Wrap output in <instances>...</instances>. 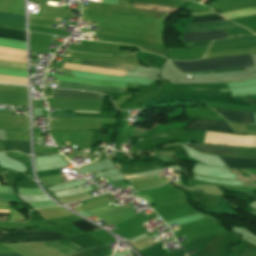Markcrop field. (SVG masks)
Segmentation results:
<instances>
[{"instance_id":"1","label":"crop field","mask_w":256,"mask_h":256,"mask_svg":"<svg viewBox=\"0 0 256 256\" xmlns=\"http://www.w3.org/2000/svg\"><path fill=\"white\" fill-rule=\"evenodd\" d=\"M173 62V61H172ZM183 72L252 66L251 56L208 59L194 62H173Z\"/></svg>"},{"instance_id":"2","label":"crop field","mask_w":256,"mask_h":256,"mask_svg":"<svg viewBox=\"0 0 256 256\" xmlns=\"http://www.w3.org/2000/svg\"><path fill=\"white\" fill-rule=\"evenodd\" d=\"M61 238L68 237L46 231L0 232V242L46 241Z\"/></svg>"},{"instance_id":"3","label":"crop field","mask_w":256,"mask_h":256,"mask_svg":"<svg viewBox=\"0 0 256 256\" xmlns=\"http://www.w3.org/2000/svg\"><path fill=\"white\" fill-rule=\"evenodd\" d=\"M180 100H188V101L210 100V101H217V102H224V103H231V104H238V105H256V100H234L226 97L203 96V95H180V96H172V97H165L161 99L150 100L145 105H143L142 108L155 102L180 101Z\"/></svg>"},{"instance_id":"4","label":"crop field","mask_w":256,"mask_h":256,"mask_svg":"<svg viewBox=\"0 0 256 256\" xmlns=\"http://www.w3.org/2000/svg\"><path fill=\"white\" fill-rule=\"evenodd\" d=\"M233 27H238V26L227 20H223V21H215V22L188 24L186 25L185 32L214 31V30H221V29H229Z\"/></svg>"},{"instance_id":"5","label":"crop field","mask_w":256,"mask_h":256,"mask_svg":"<svg viewBox=\"0 0 256 256\" xmlns=\"http://www.w3.org/2000/svg\"><path fill=\"white\" fill-rule=\"evenodd\" d=\"M185 129L209 130V131L233 133L230 131V129L226 123L215 122V121H191V120H188Z\"/></svg>"},{"instance_id":"6","label":"crop field","mask_w":256,"mask_h":256,"mask_svg":"<svg viewBox=\"0 0 256 256\" xmlns=\"http://www.w3.org/2000/svg\"><path fill=\"white\" fill-rule=\"evenodd\" d=\"M227 121L255 124L254 113L213 109Z\"/></svg>"},{"instance_id":"7","label":"crop field","mask_w":256,"mask_h":256,"mask_svg":"<svg viewBox=\"0 0 256 256\" xmlns=\"http://www.w3.org/2000/svg\"><path fill=\"white\" fill-rule=\"evenodd\" d=\"M66 256H69L70 254L83 249L80 248L74 244H72L71 242L63 239V240H56V241H46V242H40Z\"/></svg>"},{"instance_id":"8","label":"crop field","mask_w":256,"mask_h":256,"mask_svg":"<svg viewBox=\"0 0 256 256\" xmlns=\"http://www.w3.org/2000/svg\"><path fill=\"white\" fill-rule=\"evenodd\" d=\"M69 63L83 64V65L101 67V68L121 69V70H127V71H134V68H135V66L133 65L105 63V62L89 61V60H82V59H76V58H71Z\"/></svg>"},{"instance_id":"9","label":"crop field","mask_w":256,"mask_h":256,"mask_svg":"<svg viewBox=\"0 0 256 256\" xmlns=\"http://www.w3.org/2000/svg\"><path fill=\"white\" fill-rule=\"evenodd\" d=\"M104 97V95L83 93L78 91L54 90V98L95 99L103 101Z\"/></svg>"},{"instance_id":"10","label":"crop field","mask_w":256,"mask_h":256,"mask_svg":"<svg viewBox=\"0 0 256 256\" xmlns=\"http://www.w3.org/2000/svg\"><path fill=\"white\" fill-rule=\"evenodd\" d=\"M203 153L237 157L238 148L218 147L212 145H192Z\"/></svg>"},{"instance_id":"11","label":"crop field","mask_w":256,"mask_h":256,"mask_svg":"<svg viewBox=\"0 0 256 256\" xmlns=\"http://www.w3.org/2000/svg\"><path fill=\"white\" fill-rule=\"evenodd\" d=\"M227 37L224 30L214 32L184 33L183 42L195 40H211Z\"/></svg>"},{"instance_id":"12","label":"crop field","mask_w":256,"mask_h":256,"mask_svg":"<svg viewBox=\"0 0 256 256\" xmlns=\"http://www.w3.org/2000/svg\"><path fill=\"white\" fill-rule=\"evenodd\" d=\"M62 88H71V89H83V90H90V91H101V92H113V93H121L126 89H107L103 87H95V86H87L81 84H75L70 82H62Z\"/></svg>"},{"instance_id":"13","label":"crop field","mask_w":256,"mask_h":256,"mask_svg":"<svg viewBox=\"0 0 256 256\" xmlns=\"http://www.w3.org/2000/svg\"><path fill=\"white\" fill-rule=\"evenodd\" d=\"M220 157V156H219ZM228 167L256 168V160L220 157Z\"/></svg>"},{"instance_id":"14","label":"crop field","mask_w":256,"mask_h":256,"mask_svg":"<svg viewBox=\"0 0 256 256\" xmlns=\"http://www.w3.org/2000/svg\"><path fill=\"white\" fill-rule=\"evenodd\" d=\"M253 40H256V37L254 35L240 36L235 38L218 40L216 43H213L212 45L233 44V43L247 42V41H253Z\"/></svg>"},{"instance_id":"15","label":"crop field","mask_w":256,"mask_h":256,"mask_svg":"<svg viewBox=\"0 0 256 256\" xmlns=\"http://www.w3.org/2000/svg\"><path fill=\"white\" fill-rule=\"evenodd\" d=\"M132 7L142 8V9H150V10L166 11V12H172L175 10V8L145 4V3L134 2V1H132Z\"/></svg>"},{"instance_id":"16","label":"crop field","mask_w":256,"mask_h":256,"mask_svg":"<svg viewBox=\"0 0 256 256\" xmlns=\"http://www.w3.org/2000/svg\"><path fill=\"white\" fill-rule=\"evenodd\" d=\"M219 15H213V16H202V17H192L191 23L196 22H206V21H215V20H223Z\"/></svg>"},{"instance_id":"17","label":"crop field","mask_w":256,"mask_h":256,"mask_svg":"<svg viewBox=\"0 0 256 256\" xmlns=\"http://www.w3.org/2000/svg\"><path fill=\"white\" fill-rule=\"evenodd\" d=\"M227 33V36H236V35H247V34H253L252 32L242 28V27H238V28H234V29H229V30H225Z\"/></svg>"},{"instance_id":"18","label":"crop field","mask_w":256,"mask_h":256,"mask_svg":"<svg viewBox=\"0 0 256 256\" xmlns=\"http://www.w3.org/2000/svg\"><path fill=\"white\" fill-rule=\"evenodd\" d=\"M73 225H75L76 227H78L79 229H81L82 231L86 232L89 230H94V229H98L97 227L83 221H76V222H72Z\"/></svg>"},{"instance_id":"19","label":"crop field","mask_w":256,"mask_h":256,"mask_svg":"<svg viewBox=\"0 0 256 256\" xmlns=\"http://www.w3.org/2000/svg\"><path fill=\"white\" fill-rule=\"evenodd\" d=\"M0 19L23 23V16H15V15L1 13V12H0Z\"/></svg>"},{"instance_id":"20","label":"crop field","mask_w":256,"mask_h":256,"mask_svg":"<svg viewBox=\"0 0 256 256\" xmlns=\"http://www.w3.org/2000/svg\"><path fill=\"white\" fill-rule=\"evenodd\" d=\"M210 41H195L184 43L186 48L207 46Z\"/></svg>"},{"instance_id":"21","label":"crop field","mask_w":256,"mask_h":256,"mask_svg":"<svg viewBox=\"0 0 256 256\" xmlns=\"http://www.w3.org/2000/svg\"><path fill=\"white\" fill-rule=\"evenodd\" d=\"M0 33L12 34V35L25 37V32H23V31H17V30L6 29V28H0Z\"/></svg>"},{"instance_id":"22","label":"crop field","mask_w":256,"mask_h":256,"mask_svg":"<svg viewBox=\"0 0 256 256\" xmlns=\"http://www.w3.org/2000/svg\"><path fill=\"white\" fill-rule=\"evenodd\" d=\"M0 200L18 202V201L13 197V195H8V194H0Z\"/></svg>"},{"instance_id":"23","label":"crop field","mask_w":256,"mask_h":256,"mask_svg":"<svg viewBox=\"0 0 256 256\" xmlns=\"http://www.w3.org/2000/svg\"><path fill=\"white\" fill-rule=\"evenodd\" d=\"M0 37L25 42V38H22V37H16V36H10V35H3V34H0Z\"/></svg>"},{"instance_id":"24","label":"crop field","mask_w":256,"mask_h":256,"mask_svg":"<svg viewBox=\"0 0 256 256\" xmlns=\"http://www.w3.org/2000/svg\"><path fill=\"white\" fill-rule=\"evenodd\" d=\"M0 212H9V211L0 210ZM8 214L9 213H0V221H7Z\"/></svg>"},{"instance_id":"25","label":"crop field","mask_w":256,"mask_h":256,"mask_svg":"<svg viewBox=\"0 0 256 256\" xmlns=\"http://www.w3.org/2000/svg\"><path fill=\"white\" fill-rule=\"evenodd\" d=\"M245 126L247 127V129H255L256 130V125H247V124H245Z\"/></svg>"},{"instance_id":"26","label":"crop field","mask_w":256,"mask_h":256,"mask_svg":"<svg viewBox=\"0 0 256 256\" xmlns=\"http://www.w3.org/2000/svg\"><path fill=\"white\" fill-rule=\"evenodd\" d=\"M16 254H0V256H18L19 255V254L18 255H16Z\"/></svg>"},{"instance_id":"27","label":"crop field","mask_w":256,"mask_h":256,"mask_svg":"<svg viewBox=\"0 0 256 256\" xmlns=\"http://www.w3.org/2000/svg\"><path fill=\"white\" fill-rule=\"evenodd\" d=\"M84 189H82V190H80V191H83ZM80 191H78V192H80Z\"/></svg>"},{"instance_id":"28","label":"crop field","mask_w":256,"mask_h":256,"mask_svg":"<svg viewBox=\"0 0 256 256\" xmlns=\"http://www.w3.org/2000/svg\"><path fill=\"white\" fill-rule=\"evenodd\" d=\"M67 144H69V142H66Z\"/></svg>"},{"instance_id":"29","label":"crop field","mask_w":256,"mask_h":256,"mask_svg":"<svg viewBox=\"0 0 256 256\" xmlns=\"http://www.w3.org/2000/svg\"><path fill=\"white\" fill-rule=\"evenodd\" d=\"M153 137H156V136H153Z\"/></svg>"},{"instance_id":"30","label":"crop field","mask_w":256,"mask_h":256,"mask_svg":"<svg viewBox=\"0 0 256 256\" xmlns=\"http://www.w3.org/2000/svg\"><path fill=\"white\" fill-rule=\"evenodd\" d=\"M70 182V181H69Z\"/></svg>"}]
</instances>
